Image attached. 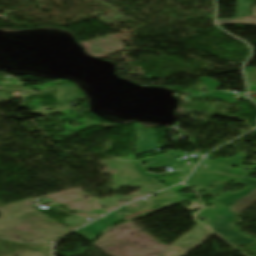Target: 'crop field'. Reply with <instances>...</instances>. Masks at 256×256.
I'll return each instance as SVG.
<instances>
[{"instance_id":"obj_1","label":"crop field","mask_w":256,"mask_h":256,"mask_svg":"<svg viewBox=\"0 0 256 256\" xmlns=\"http://www.w3.org/2000/svg\"><path fill=\"white\" fill-rule=\"evenodd\" d=\"M231 179L237 180L236 182L249 185L248 187L244 188L243 190L237 193L228 192L227 194L217 198L215 197L222 191V187L224 184H218L216 192L200 189L207 193L209 196H213L216 200L222 202L225 205H228L252 192L253 189L256 188V181L244 178H237L233 176H228L224 174H217V173H200V174H192L189 179L187 180L186 184L189 186H204L207 187L209 181L214 182H229ZM212 187H208L211 189Z\"/></svg>"},{"instance_id":"obj_2","label":"crop field","mask_w":256,"mask_h":256,"mask_svg":"<svg viewBox=\"0 0 256 256\" xmlns=\"http://www.w3.org/2000/svg\"><path fill=\"white\" fill-rule=\"evenodd\" d=\"M223 210H211V211H202L201 215H197V218H207L208 225L221 234L224 238L230 241L232 244H245L249 242H256L249 237L239 233L234 229V215L224 206L218 204L217 202H211ZM231 226L232 228H220L215 229V227H227Z\"/></svg>"},{"instance_id":"obj_3","label":"crop field","mask_w":256,"mask_h":256,"mask_svg":"<svg viewBox=\"0 0 256 256\" xmlns=\"http://www.w3.org/2000/svg\"><path fill=\"white\" fill-rule=\"evenodd\" d=\"M169 192L170 191H168V190L160 192V193H158V196L155 197L154 199L144 201L147 204H145L143 206H140V207H137L135 209H133L131 207H128V206H125L120 211L108 215L110 218L99 221V222H97L95 224H92L88 227H90V228H92L95 231L100 233L105 226H107V225H109V224H111V223H113V222H115V221H117V220H119V219H121L125 216H128V215L134 214L136 212L154 207L156 205H159L160 202H165V201L177 199L176 197L168 196Z\"/></svg>"},{"instance_id":"obj_4","label":"crop field","mask_w":256,"mask_h":256,"mask_svg":"<svg viewBox=\"0 0 256 256\" xmlns=\"http://www.w3.org/2000/svg\"><path fill=\"white\" fill-rule=\"evenodd\" d=\"M243 158H245V157L243 155V152H241V153L237 154L236 158H233V159L224 160L222 158H218V159L213 160L210 163L202 161V163L199 164V166L197 167V169L194 172L217 171V172L229 173V174H233V175H237L238 173H243L241 176L246 177L249 174H251L252 172H250L247 175L244 174L245 172H243V167L240 164L241 160ZM202 165H208L207 169L201 170ZM232 165H238L242 169L229 168ZM224 168H226V170H224ZM249 168H255V167H249Z\"/></svg>"},{"instance_id":"obj_5","label":"crop field","mask_w":256,"mask_h":256,"mask_svg":"<svg viewBox=\"0 0 256 256\" xmlns=\"http://www.w3.org/2000/svg\"><path fill=\"white\" fill-rule=\"evenodd\" d=\"M138 141L136 142L137 155L156 149L155 134L153 131L135 127Z\"/></svg>"},{"instance_id":"obj_6","label":"crop field","mask_w":256,"mask_h":256,"mask_svg":"<svg viewBox=\"0 0 256 256\" xmlns=\"http://www.w3.org/2000/svg\"><path fill=\"white\" fill-rule=\"evenodd\" d=\"M120 177L123 178L125 182L133 179H139L140 181H142L144 184H146L148 187H150L152 190H155V191L166 188L160 185L158 181L155 180L154 178L148 177L140 173L135 165L124 169Z\"/></svg>"},{"instance_id":"obj_7","label":"crop field","mask_w":256,"mask_h":256,"mask_svg":"<svg viewBox=\"0 0 256 256\" xmlns=\"http://www.w3.org/2000/svg\"><path fill=\"white\" fill-rule=\"evenodd\" d=\"M242 2H244V17H242ZM250 7V2L245 0H237V19L234 20H217L218 25L245 23L256 25V18H252L248 15L247 11Z\"/></svg>"},{"instance_id":"obj_8","label":"crop field","mask_w":256,"mask_h":256,"mask_svg":"<svg viewBox=\"0 0 256 256\" xmlns=\"http://www.w3.org/2000/svg\"><path fill=\"white\" fill-rule=\"evenodd\" d=\"M169 154L171 156L168 158L164 157L165 155H161L153 158L142 159L139 161V163H143V162L148 163L150 166H145V167L150 169H159L166 166L174 167L173 163H176L175 158L178 155L175 154L174 151H170Z\"/></svg>"},{"instance_id":"obj_9","label":"crop field","mask_w":256,"mask_h":256,"mask_svg":"<svg viewBox=\"0 0 256 256\" xmlns=\"http://www.w3.org/2000/svg\"><path fill=\"white\" fill-rule=\"evenodd\" d=\"M57 90L56 97L61 104L83 99L73 86L58 88ZM70 96L74 98H70Z\"/></svg>"},{"instance_id":"obj_10","label":"crop field","mask_w":256,"mask_h":256,"mask_svg":"<svg viewBox=\"0 0 256 256\" xmlns=\"http://www.w3.org/2000/svg\"><path fill=\"white\" fill-rule=\"evenodd\" d=\"M76 233H78L79 235H81V236H83V237H85V238H87L89 240L94 238L97 234H99V233L93 231L92 229H90L88 227H85V228L79 230Z\"/></svg>"},{"instance_id":"obj_11","label":"crop field","mask_w":256,"mask_h":256,"mask_svg":"<svg viewBox=\"0 0 256 256\" xmlns=\"http://www.w3.org/2000/svg\"><path fill=\"white\" fill-rule=\"evenodd\" d=\"M69 108H70V106L68 104V105L58 106L57 109L52 110V111H44V110L39 109L35 113L46 116V115H49V114H52V113H55V112H59V111H62V110H66V109H69Z\"/></svg>"},{"instance_id":"obj_12","label":"crop field","mask_w":256,"mask_h":256,"mask_svg":"<svg viewBox=\"0 0 256 256\" xmlns=\"http://www.w3.org/2000/svg\"><path fill=\"white\" fill-rule=\"evenodd\" d=\"M180 177V180H176L175 178ZM184 179L183 175H177V176H172L170 178H161L160 181H165L168 185L176 184L181 182Z\"/></svg>"},{"instance_id":"obj_13","label":"crop field","mask_w":256,"mask_h":256,"mask_svg":"<svg viewBox=\"0 0 256 256\" xmlns=\"http://www.w3.org/2000/svg\"><path fill=\"white\" fill-rule=\"evenodd\" d=\"M202 208V205H200L197 202H192L191 207L185 208V210H192V209H199Z\"/></svg>"},{"instance_id":"obj_14","label":"crop field","mask_w":256,"mask_h":256,"mask_svg":"<svg viewBox=\"0 0 256 256\" xmlns=\"http://www.w3.org/2000/svg\"><path fill=\"white\" fill-rule=\"evenodd\" d=\"M40 103H41L40 101L35 100V102L31 104V106H33L34 108L37 109L39 107Z\"/></svg>"},{"instance_id":"obj_15","label":"crop field","mask_w":256,"mask_h":256,"mask_svg":"<svg viewBox=\"0 0 256 256\" xmlns=\"http://www.w3.org/2000/svg\"><path fill=\"white\" fill-rule=\"evenodd\" d=\"M181 188H184V186L183 185L176 186V187L172 188V190L177 191V190H179Z\"/></svg>"},{"instance_id":"obj_16","label":"crop field","mask_w":256,"mask_h":256,"mask_svg":"<svg viewBox=\"0 0 256 256\" xmlns=\"http://www.w3.org/2000/svg\"><path fill=\"white\" fill-rule=\"evenodd\" d=\"M211 209H220V208H218V207H216L215 205H213L211 208H205V209H203V210H211ZM200 214V213H199Z\"/></svg>"},{"instance_id":"obj_17","label":"crop field","mask_w":256,"mask_h":256,"mask_svg":"<svg viewBox=\"0 0 256 256\" xmlns=\"http://www.w3.org/2000/svg\"><path fill=\"white\" fill-rule=\"evenodd\" d=\"M217 184H218V183H217ZM217 184L214 185V184H212V182H210L209 186H213V188H212L211 190H214V189L216 188ZM201 188H203V187H201ZM206 189H207V188H206Z\"/></svg>"},{"instance_id":"obj_18","label":"crop field","mask_w":256,"mask_h":256,"mask_svg":"<svg viewBox=\"0 0 256 256\" xmlns=\"http://www.w3.org/2000/svg\"><path fill=\"white\" fill-rule=\"evenodd\" d=\"M186 197H193V196H197V195H194V194H188V195H184Z\"/></svg>"},{"instance_id":"obj_19","label":"crop field","mask_w":256,"mask_h":256,"mask_svg":"<svg viewBox=\"0 0 256 256\" xmlns=\"http://www.w3.org/2000/svg\"><path fill=\"white\" fill-rule=\"evenodd\" d=\"M93 212H95V213H97V212L105 213V211H103V210H96V211H93Z\"/></svg>"},{"instance_id":"obj_20","label":"crop field","mask_w":256,"mask_h":256,"mask_svg":"<svg viewBox=\"0 0 256 256\" xmlns=\"http://www.w3.org/2000/svg\"><path fill=\"white\" fill-rule=\"evenodd\" d=\"M138 164V163H137ZM138 166H139V169L142 171V169H141V167H140V165L138 164ZM149 175V174H148ZM151 176H153V177H155V178H157V177H159V176H155V175H151Z\"/></svg>"},{"instance_id":"obj_21","label":"crop field","mask_w":256,"mask_h":256,"mask_svg":"<svg viewBox=\"0 0 256 256\" xmlns=\"http://www.w3.org/2000/svg\"><path fill=\"white\" fill-rule=\"evenodd\" d=\"M252 90H256V87L252 86Z\"/></svg>"},{"instance_id":"obj_22","label":"crop field","mask_w":256,"mask_h":256,"mask_svg":"<svg viewBox=\"0 0 256 256\" xmlns=\"http://www.w3.org/2000/svg\"><path fill=\"white\" fill-rule=\"evenodd\" d=\"M238 97H239V95L236 96V98H238Z\"/></svg>"}]
</instances>
